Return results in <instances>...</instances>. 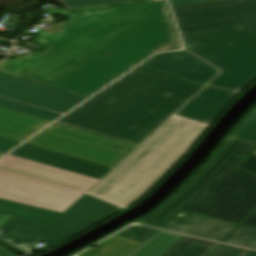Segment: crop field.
I'll return each instance as SVG.
<instances>
[{
  "label": "crop field",
  "mask_w": 256,
  "mask_h": 256,
  "mask_svg": "<svg viewBox=\"0 0 256 256\" xmlns=\"http://www.w3.org/2000/svg\"><path fill=\"white\" fill-rule=\"evenodd\" d=\"M121 210L84 194L49 226L11 217L0 227V237L25 250L42 240L55 246Z\"/></svg>",
  "instance_id": "obj_5"
},
{
  "label": "crop field",
  "mask_w": 256,
  "mask_h": 256,
  "mask_svg": "<svg viewBox=\"0 0 256 256\" xmlns=\"http://www.w3.org/2000/svg\"><path fill=\"white\" fill-rule=\"evenodd\" d=\"M178 54L185 57L176 58ZM141 65L205 84L218 74L216 68L206 64L185 50L157 54Z\"/></svg>",
  "instance_id": "obj_13"
},
{
  "label": "crop field",
  "mask_w": 256,
  "mask_h": 256,
  "mask_svg": "<svg viewBox=\"0 0 256 256\" xmlns=\"http://www.w3.org/2000/svg\"><path fill=\"white\" fill-rule=\"evenodd\" d=\"M209 125L173 114L86 194L122 209L128 207L187 153Z\"/></svg>",
  "instance_id": "obj_3"
},
{
  "label": "crop field",
  "mask_w": 256,
  "mask_h": 256,
  "mask_svg": "<svg viewBox=\"0 0 256 256\" xmlns=\"http://www.w3.org/2000/svg\"><path fill=\"white\" fill-rule=\"evenodd\" d=\"M0 256H15L12 252L0 247Z\"/></svg>",
  "instance_id": "obj_32"
},
{
  "label": "crop field",
  "mask_w": 256,
  "mask_h": 256,
  "mask_svg": "<svg viewBox=\"0 0 256 256\" xmlns=\"http://www.w3.org/2000/svg\"><path fill=\"white\" fill-rule=\"evenodd\" d=\"M157 229L145 227V226H132L125 231L119 233L118 235L123 236L125 234H128L129 236L127 238H130L132 240L138 241L142 243L147 238H149L152 234H154Z\"/></svg>",
  "instance_id": "obj_26"
},
{
  "label": "crop field",
  "mask_w": 256,
  "mask_h": 256,
  "mask_svg": "<svg viewBox=\"0 0 256 256\" xmlns=\"http://www.w3.org/2000/svg\"><path fill=\"white\" fill-rule=\"evenodd\" d=\"M10 154L36 160L66 170L101 179L112 167L31 144H23Z\"/></svg>",
  "instance_id": "obj_14"
},
{
  "label": "crop field",
  "mask_w": 256,
  "mask_h": 256,
  "mask_svg": "<svg viewBox=\"0 0 256 256\" xmlns=\"http://www.w3.org/2000/svg\"><path fill=\"white\" fill-rule=\"evenodd\" d=\"M140 243L120 236H113L97 245L100 250L89 249L78 256H125Z\"/></svg>",
  "instance_id": "obj_22"
},
{
  "label": "crop field",
  "mask_w": 256,
  "mask_h": 256,
  "mask_svg": "<svg viewBox=\"0 0 256 256\" xmlns=\"http://www.w3.org/2000/svg\"><path fill=\"white\" fill-rule=\"evenodd\" d=\"M237 225L182 211L163 229L222 242Z\"/></svg>",
  "instance_id": "obj_15"
},
{
  "label": "crop field",
  "mask_w": 256,
  "mask_h": 256,
  "mask_svg": "<svg viewBox=\"0 0 256 256\" xmlns=\"http://www.w3.org/2000/svg\"><path fill=\"white\" fill-rule=\"evenodd\" d=\"M20 143L21 142L14 141V140L4 138V137L0 136V151L7 153L10 150H12L14 147L19 145Z\"/></svg>",
  "instance_id": "obj_29"
},
{
  "label": "crop field",
  "mask_w": 256,
  "mask_h": 256,
  "mask_svg": "<svg viewBox=\"0 0 256 256\" xmlns=\"http://www.w3.org/2000/svg\"><path fill=\"white\" fill-rule=\"evenodd\" d=\"M86 191L0 167V198L63 213Z\"/></svg>",
  "instance_id": "obj_8"
},
{
  "label": "crop field",
  "mask_w": 256,
  "mask_h": 256,
  "mask_svg": "<svg viewBox=\"0 0 256 256\" xmlns=\"http://www.w3.org/2000/svg\"><path fill=\"white\" fill-rule=\"evenodd\" d=\"M245 256H256V251L250 250Z\"/></svg>",
  "instance_id": "obj_34"
},
{
  "label": "crop field",
  "mask_w": 256,
  "mask_h": 256,
  "mask_svg": "<svg viewBox=\"0 0 256 256\" xmlns=\"http://www.w3.org/2000/svg\"><path fill=\"white\" fill-rule=\"evenodd\" d=\"M0 96L61 113L86 98L3 72H0Z\"/></svg>",
  "instance_id": "obj_10"
},
{
  "label": "crop field",
  "mask_w": 256,
  "mask_h": 256,
  "mask_svg": "<svg viewBox=\"0 0 256 256\" xmlns=\"http://www.w3.org/2000/svg\"><path fill=\"white\" fill-rule=\"evenodd\" d=\"M224 243L256 249V228L240 225Z\"/></svg>",
  "instance_id": "obj_24"
},
{
  "label": "crop field",
  "mask_w": 256,
  "mask_h": 256,
  "mask_svg": "<svg viewBox=\"0 0 256 256\" xmlns=\"http://www.w3.org/2000/svg\"><path fill=\"white\" fill-rule=\"evenodd\" d=\"M68 9L125 2L132 0H60Z\"/></svg>",
  "instance_id": "obj_27"
},
{
  "label": "crop field",
  "mask_w": 256,
  "mask_h": 256,
  "mask_svg": "<svg viewBox=\"0 0 256 256\" xmlns=\"http://www.w3.org/2000/svg\"><path fill=\"white\" fill-rule=\"evenodd\" d=\"M51 122L0 108V135L25 141Z\"/></svg>",
  "instance_id": "obj_18"
},
{
  "label": "crop field",
  "mask_w": 256,
  "mask_h": 256,
  "mask_svg": "<svg viewBox=\"0 0 256 256\" xmlns=\"http://www.w3.org/2000/svg\"><path fill=\"white\" fill-rule=\"evenodd\" d=\"M0 166L86 191L99 181V179L73 173L10 154L0 160Z\"/></svg>",
  "instance_id": "obj_12"
},
{
  "label": "crop field",
  "mask_w": 256,
  "mask_h": 256,
  "mask_svg": "<svg viewBox=\"0 0 256 256\" xmlns=\"http://www.w3.org/2000/svg\"><path fill=\"white\" fill-rule=\"evenodd\" d=\"M182 235L159 230L126 256H161Z\"/></svg>",
  "instance_id": "obj_20"
},
{
  "label": "crop field",
  "mask_w": 256,
  "mask_h": 256,
  "mask_svg": "<svg viewBox=\"0 0 256 256\" xmlns=\"http://www.w3.org/2000/svg\"><path fill=\"white\" fill-rule=\"evenodd\" d=\"M229 137L256 143V108L246 116Z\"/></svg>",
  "instance_id": "obj_25"
},
{
  "label": "crop field",
  "mask_w": 256,
  "mask_h": 256,
  "mask_svg": "<svg viewBox=\"0 0 256 256\" xmlns=\"http://www.w3.org/2000/svg\"><path fill=\"white\" fill-rule=\"evenodd\" d=\"M181 34L186 50L221 70L211 86L240 92L256 79V32L243 24Z\"/></svg>",
  "instance_id": "obj_4"
},
{
  "label": "crop field",
  "mask_w": 256,
  "mask_h": 256,
  "mask_svg": "<svg viewBox=\"0 0 256 256\" xmlns=\"http://www.w3.org/2000/svg\"><path fill=\"white\" fill-rule=\"evenodd\" d=\"M1 61V60H0Z\"/></svg>",
  "instance_id": "obj_36"
},
{
  "label": "crop field",
  "mask_w": 256,
  "mask_h": 256,
  "mask_svg": "<svg viewBox=\"0 0 256 256\" xmlns=\"http://www.w3.org/2000/svg\"><path fill=\"white\" fill-rule=\"evenodd\" d=\"M239 167L256 174V155ZM209 190L256 202V176L236 168Z\"/></svg>",
  "instance_id": "obj_17"
},
{
  "label": "crop field",
  "mask_w": 256,
  "mask_h": 256,
  "mask_svg": "<svg viewBox=\"0 0 256 256\" xmlns=\"http://www.w3.org/2000/svg\"><path fill=\"white\" fill-rule=\"evenodd\" d=\"M0 107L9 109L12 111H16L19 113H23L26 115H30L33 117H37L40 119H44L47 121H51V122L55 121L57 118H59L62 115V114H58V113L44 110L41 108H37V107H33L23 103H19L16 101H12L9 99H5L2 97H0Z\"/></svg>",
  "instance_id": "obj_23"
},
{
  "label": "crop field",
  "mask_w": 256,
  "mask_h": 256,
  "mask_svg": "<svg viewBox=\"0 0 256 256\" xmlns=\"http://www.w3.org/2000/svg\"><path fill=\"white\" fill-rule=\"evenodd\" d=\"M27 143L71 154L114 167L136 145L52 124Z\"/></svg>",
  "instance_id": "obj_7"
},
{
  "label": "crop field",
  "mask_w": 256,
  "mask_h": 256,
  "mask_svg": "<svg viewBox=\"0 0 256 256\" xmlns=\"http://www.w3.org/2000/svg\"><path fill=\"white\" fill-rule=\"evenodd\" d=\"M202 87L138 67L56 123L138 145Z\"/></svg>",
  "instance_id": "obj_2"
},
{
  "label": "crop field",
  "mask_w": 256,
  "mask_h": 256,
  "mask_svg": "<svg viewBox=\"0 0 256 256\" xmlns=\"http://www.w3.org/2000/svg\"><path fill=\"white\" fill-rule=\"evenodd\" d=\"M236 94L205 87L177 115L212 123Z\"/></svg>",
  "instance_id": "obj_16"
},
{
  "label": "crop field",
  "mask_w": 256,
  "mask_h": 256,
  "mask_svg": "<svg viewBox=\"0 0 256 256\" xmlns=\"http://www.w3.org/2000/svg\"><path fill=\"white\" fill-rule=\"evenodd\" d=\"M255 208L254 202L207 191L184 210L237 223L252 214L242 224L256 227V212L251 213Z\"/></svg>",
  "instance_id": "obj_11"
},
{
  "label": "crop field",
  "mask_w": 256,
  "mask_h": 256,
  "mask_svg": "<svg viewBox=\"0 0 256 256\" xmlns=\"http://www.w3.org/2000/svg\"><path fill=\"white\" fill-rule=\"evenodd\" d=\"M219 244L183 236L162 256H208Z\"/></svg>",
  "instance_id": "obj_21"
},
{
  "label": "crop field",
  "mask_w": 256,
  "mask_h": 256,
  "mask_svg": "<svg viewBox=\"0 0 256 256\" xmlns=\"http://www.w3.org/2000/svg\"><path fill=\"white\" fill-rule=\"evenodd\" d=\"M167 8L165 0H140L56 11L78 21L59 36L38 31L36 43L53 45L0 71L88 97L176 37Z\"/></svg>",
  "instance_id": "obj_1"
},
{
  "label": "crop field",
  "mask_w": 256,
  "mask_h": 256,
  "mask_svg": "<svg viewBox=\"0 0 256 256\" xmlns=\"http://www.w3.org/2000/svg\"><path fill=\"white\" fill-rule=\"evenodd\" d=\"M181 32L244 23L256 31V0H235L173 9Z\"/></svg>",
  "instance_id": "obj_9"
},
{
  "label": "crop field",
  "mask_w": 256,
  "mask_h": 256,
  "mask_svg": "<svg viewBox=\"0 0 256 256\" xmlns=\"http://www.w3.org/2000/svg\"><path fill=\"white\" fill-rule=\"evenodd\" d=\"M181 48H182V44L180 42V39L177 38L175 41H173L172 43L168 44L167 46H165L164 48L160 49L157 52L179 50Z\"/></svg>",
  "instance_id": "obj_31"
},
{
  "label": "crop field",
  "mask_w": 256,
  "mask_h": 256,
  "mask_svg": "<svg viewBox=\"0 0 256 256\" xmlns=\"http://www.w3.org/2000/svg\"><path fill=\"white\" fill-rule=\"evenodd\" d=\"M249 250L222 244L212 256H244Z\"/></svg>",
  "instance_id": "obj_28"
},
{
  "label": "crop field",
  "mask_w": 256,
  "mask_h": 256,
  "mask_svg": "<svg viewBox=\"0 0 256 256\" xmlns=\"http://www.w3.org/2000/svg\"><path fill=\"white\" fill-rule=\"evenodd\" d=\"M0 213L49 225L60 213L0 199Z\"/></svg>",
  "instance_id": "obj_19"
},
{
  "label": "crop field",
  "mask_w": 256,
  "mask_h": 256,
  "mask_svg": "<svg viewBox=\"0 0 256 256\" xmlns=\"http://www.w3.org/2000/svg\"><path fill=\"white\" fill-rule=\"evenodd\" d=\"M11 216L0 214V226L10 218Z\"/></svg>",
  "instance_id": "obj_33"
},
{
  "label": "crop field",
  "mask_w": 256,
  "mask_h": 256,
  "mask_svg": "<svg viewBox=\"0 0 256 256\" xmlns=\"http://www.w3.org/2000/svg\"><path fill=\"white\" fill-rule=\"evenodd\" d=\"M211 1H219V0H170L172 7L182 6V5H189V4L204 3V2H211Z\"/></svg>",
  "instance_id": "obj_30"
},
{
  "label": "crop field",
  "mask_w": 256,
  "mask_h": 256,
  "mask_svg": "<svg viewBox=\"0 0 256 256\" xmlns=\"http://www.w3.org/2000/svg\"><path fill=\"white\" fill-rule=\"evenodd\" d=\"M255 148V143L227 138L212 159L177 193L152 214L135 223L161 228L235 169V166Z\"/></svg>",
  "instance_id": "obj_6"
},
{
  "label": "crop field",
  "mask_w": 256,
  "mask_h": 256,
  "mask_svg": "<svg viewBox=\"0 0 256 256\" xmlns=\"http://www.w3.org/2000/svg\"><path fill=\"white\" fill-rule=\"evenodd\" d=\"M4 154H5V153H1V152H0V157L3 156Z\"/></svg>",
  "instance_id": "obj_35"
}]
</instances>
